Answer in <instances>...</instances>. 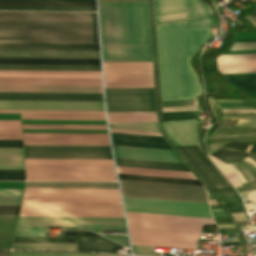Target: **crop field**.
<instances>
[{"label":"crop field","instance_id":"1","mask_svg":"<svg viewBox=\"0 0 256 256\" xmlns=\"http://www.w3.org/2000/svg\"><path fill=\"white\" fill-rule=\"evenodd\" d=\"M211 30L184 31L183 22L156 26L161 101L202 95L190 60L209 39Z\"/></svg>","mask_w":256,"mask_h":256},{"label":"crop field","instance_id":"2","mask_svg":"<svg viewBox=\"0 0 256 256\" xmlns=\"http://www.w3.org/2000/svg\"><path fill=\"white\" fill-rule=\"evenodd\" d=\"M0 42L98 43L96 13L0 12Z\"/></svg>","mask_w":256,"mask_h":256},{"label":"crop field","instance_id":"3","mask_svg":"<svg viewBox=\"0 0 256 256\" xmlns=\"http://www.w3.org/2000/svg\"><path fill=\"white\" fill-rule=\"evenodd\" d=\"M99 9L103 61H152L147 2Z\"/></svg>","mask_w":256,"mask_h":256},{"label":"crop field","instance_id":"4","mask_svg":"<svg viewBox=\"0 0 256 256\" xmlns=\"http://www.w3.org/2000/svg\"><path fill=\"white\" fill-rule=\"evenodd\" d=\"M19 217L124 218L121 204L22 203Z\"/></svg>","mask_w":256,"mask_h":256},{"label":"crop field","instance_id":"5","mask_svg":"<svg viewBox=\"0 0 256 256\" xmlns=\"http://www.w3.org/2000/svg\"><path fill=\"white\" fill-rule=\"evenodd\" d=\"M27 181L116 182L113 166L26 165Z\"/></svg>","mask_w":256,"mask_h":256},{"label":"crop field","instance_id":"6","mask_svg":"<svg viewBox=\"0 0 256 256\" xmlns=\"http://www.w3.org/2000/svg\"><path fill=\"white\" fill-rule=\"evenodd\" d=\"M123 196L208 203L203 187L120 180Z\"/></svg>","mask_w":256,"mask_h":256},{"label":"crop field","instance_id":"7","mask_svg":"<svg viewBox=\"0 0 256 256\" xmlns=\"http://www.w3.org/2000/svg\"><path fill=\"white\" fill-rule=\"evenodd\" d=\"M129 229L200 235L212 220L127 213Z\"/></svg>","mask_w":256,"mask_h":256},{"label":"crop field","instance_id":"8","mask_svg":"<svg viewBox=\"0 0 256 256\" xmlns=\"http://www.w3.org/2000/svg\"><path fill=\"white\" fill-rule=\"evenodd\" d=\"M127 211L212 219L208 204L123 197Z\"/></svg>","mask_w":256,"mask_h":256},{"label":"crop field","instance_id":"9","mask_svg":"<svg viewBox=\"0 0 256 256\" xmlns=\"http://www.w3.org/2000/svg\"><path fill=\"white\" fill-rule=\"evenodd\" d=\"M24 194L119 195L118 190L25 189ZM22 202L121 203L119 196L24 195Z\"/></svg>","mask_w":256,"mask_h":256},{"label":"crop field","instance_id":"10","mask_svg":"<svg viewBox=\"0 0 256 256\" xmlns=\"http://www.w3.org/2000/svg\"><path fill=\"white\" fill-rule=\"evenodd\" d=\"M107 112L156 111L154 89H105Z\"/></svg>","mask_w":256,"mask_h":256},{"label":"crop field","instance_id":"11","mask_svg":"<svg viewBox=\"0 0 256 256\" xmlns=\"http://www.w3.org/2000/svg\"><path fill=\"white\" fill-rule=\"evenodd\" d=\"M25 159H112L109 147L24 146Z\"/></svg>","mask_w":256,"mask_h":256},{"label":"crop field","instance_id":"12","mask_svg":"<svg viewBox=\"0 0 256 256\" xmlns=\"http://www.w3.org/2000/svg\"><path fill=\"white\" fill-rule=\"evenodd\" d=\"M24 145L109 146L107 134H23Z\"/></svg>","mask_w":256,"mask_h":256},{"label":"crop field","instance_id":"13","mask_svg":"<svg viewBox=\"0 0 256 256\" xmlns=\"http://www.w3.org/2000/svg\"><path fill=\"white\" fill-rule=\"evenodd\" d=\"M130 231L132 245L164 247L175 249H193L194 244L200 236L146 232V231Z\"/></svg>","mask_w":256,"mask_h":256},{"label":"crop field","instance_id":"14","mask_svg":"<svg viewBox=\"0 0 256 256\" xmlns=\"http://www.w3.org/2000/svg\"><path fill=\"white\" fill-rule=\"evenodd\" d=\"M200 146L178 148L212 191L233 190L205 157Z\"/></svg>","mask_w":256,"mask_h":256},{"label":"crop field","instance_id":"15","mask_svg":"<svg viewBox=\"0 0 256 256\" xmlns=\"http://www.w3.org/2000/svg\"><path fill=\"white\" fill-rule=\"evenodd\" d=\"M3 110L104 111L103 102L0 101Z\"/></svg>","mask_w":256,"mask_h":256},{"label":"crop field","instance_id":"16","mask_svg":"<svg viewBox=\"0 0 256 256\" xmlns=\"http://www.w3.org/2000/svg\"><path fill=\"white\" fill-rule=\"evenodd\" d=\"M0 3L95 4V1L0 0ZM0 4V10L96 11L95 5Z\"/></svg>","mask_w":256,"mask_h":256},{"label":"crop field","instance_id":"17","mask_svg":"<svg viewBox=\"0 0 256 256\" xmlns=\"http://www.w3.org/2000/svg\"><path fill=\"white\" fill-rule=\"evenodd\" d=\"M155 16L190 12L188 19L210 15L211 8L200 0H154Z\"/></svg>","mask_w":256,"mask_h":256},{"label":"crop field","instance_id":"18","mask_svg":"<svg viewBox=\"0 0 256 256\" xmlns=\"http://www.w3.org/2000/svg\"><path fill=\"white\" fill-rule=\"evenodd\" d=\"M76 241V242H47ZM14 243H78L77 251L115 253L123 247L104 238H15Z\"/></svg>","mask_w":256,"mask_h":256},{"label":"crop field","instance_id":"19","mask_svg":"<svg viewBox=\"0 0 256 256\" xmlns=\"http://www.w3.org/2000/svg\"><path fill=\"white\" fill-rule=\"evenodd\" d=\"M115 158L183 164L174 151L113 146Z\"/></svg>","mask_w":256,"mask_h":256},{"label":"crop field","instance_id":"20","mask_svg":"<svg viewBox=\"0 0 256 256\" xmlns=\"http://www.w3.org/2000/svg\"><path fill=\"white\" fill-rule=\"evenodd\" d=\"M0 100L103 101L102 94L0 93Z\"/></svg>","mask_w":256,"mask_h":256},{"label":"crop field","instance_id":"21","mask_svg":"<svg viewBox=\"0 0 256 256\" xmlns=\"http://www.w3.org/2000/svg\"><path fill=\"white\" fill-rule=\"evenodd\" d=\"M18 225L125 226L124 219L19 218Z\"/></svg>","mask_w":256,"mask_h":256},{"label":"crop field","instance_id":"22","mask_svg":"<svg viewBox=\"0 0 256 256\" xmlns=\"http://www.w3.org/2000/svg\"><path fill=\"white\" fill-rule=\"evenodd\" d=\"M164 130L176 147L199 145L196 140L197 121L163 123Z\"/></svg>","mask_w":256,"mask_h":256},{"label":"crop field","instance_id":"23","mask_svg":"<svg viewBox=\"0 0 256 256\" xmlns=\"http://www.w3.org/2000/svg\"><path fill=\"white\" fill-rule=\"evenodd\" d=\"M0 85L101 86V79L0 78Z\"/></svg>","mask_w":256,"mask_h":256},{"label":"crop field","instance_id":"24","mask_svg":"<svg viewBox=\"0 0 256 256\" xmlns=\"http://www.w3.org/2000/svg\"><path fill=\"white\" fill-rule=\"evenodd\" d=\"M113 145L172 150L163 137L111 133Z\"/></svg>","mask_w":256,"mask_h":256},{"label":"crop field","instance_id":"25","mask_svg":"<svg viewBox=\"0 0 256 256\" xmlns=\"http://www.w3.org/2000/svg\"><path fill=\"white\" fill-rule=\"evenodd\" d=\"M0 49H5V50L99 51L98 44L0 43Z\"/></svg>","mask_w":256,"mask_h":256},{"label":"crop field","instance_id":"26","mask_svg":"<svg viewBox=\"0 0 256 256\" xmlns=\"http://www.w3.org/2000/svg\"><path fill=\"white\" fill-rule=\"evenodd\" d=\"M105 88H153L152 74L104 75Z\"/></svg>","mask_w":256,"mask_h":256},{"label":"crop field","instance_id":"27","mask_svg":"<svg viewBox=\"0 0 256 256\" xmlns=\"http://www.w3.org/2000/svg\"><path fill=\"white\" fill-rule=\"evenodd\" d=\"M0 92L98 93V87L0 86ZM99 93H102L101 87H99Z\"/></svg>","mask_w":256,"mask_h":256},{"label":"crop field","instance_id":"28","mask_svg":"<svg viewBox=\"0 0 256 256\" xmlns=\"http://www.w3.org/2000/svg\"><path fill=\"white\" fill-rule=\"evenodd\" d=\"M0 64H5V65L100 66L99 60H64V59H5V58H0Z\"/></svg>","mask_w":256,"mask_h":256},{"label":"crop field","instance_id":"29","mask_svg":"<svg viewBox=\"0 0 256 256\" xmlns=\"http://www.w3.org/2000/svg\"><path fill=\"white\" fill-rule=\"evenodd\" d=\"M104 74L152 73V63H103Z\"/></svg>","mask_w":256,"mask_h":256},{"label":"crop field","instance_id":"30","mask_svg":"<svg viewBox=\"0 0 256 256\" xmlns=\"http://www.w3.org/2000/svg\"><path fill=\"white\" fill-rule=\"evenodd\" d=\"M25 188L118 189L116 183H27Z\"/></svg>","mask_w":256,"mask_h":256},{"label":"crop field","instance_id":"31","mask_svg":"<svg viewBox=\"0 0 256 256\" xmlns=\"http://www.w3.org/2000/svg\"><path fill=\"white\" fill-rule=\"evenodd\" d=\"M29 58L99 59V52L30 51Z\"/></svg>","mask_w":256,"mask_h":256},{"label":"crop field","instance_id":"32","mask_svg":"<svg viewBox=\"0 0 256 256\" xmlns=\"http://www.w3.org/2000/svg\"><path fill=\"white\" fill-rule=\"evenodd\" d=\"M117 166L190 172L185 165L115 159Z\"/></svg>","mask_w":256,"mask_h":256},{"label":"crop field","instance_id":"33","mask_svg":"<svg viewBox=\"0 0 256 256\" xmlns=\"http://www.w3.org/2000/svg\"><path fill=\"white\" fill-rule=\"evenodd\" d=\"M118 173L196 180L192 173L117 167Z\"/></svg>","mask_w":256,"mask_h":256},{"label":"crop field","instance_id":"34","mask_svg":"<svg viewBox=\"0 0 256 256\" xmlns=\"http://www.w3.org/2000/svg\"><path fill=\"white\" fill-rule=\"evenodd\" d=\"M18 216H0V249H10Z\"/></svg>","mask_w":256,"mask_h":256},{"label":"crop field","instance_id":"35","mask_svg":"<svg viewBox=\"0 0 256 256\" xmlns=\"http://www.w3.org/2000/svg\"><path fill=\"white\" fill-rule=\"evenodd\" d=\"M0 70H36V71H100V67H68V66H4Z\"/></svg>","mask_w":256,"mask_h":256},{"label":"crop field","instance_id":"36","mask_svg":"<svg viewBox=\"0 0 256 256\" xmlns=\"http://www.w3.org/2000/svg\"><path fill=\"white\" fill-rule=\"evenodd\" d=\"M234 86L244 91H256V73L224 75Z\"/></svg>","mask_w":256,"mask_h":256},{"label":"crop field","instance_id":"37","mask_svg":"<svg viewBox=\"0 0 256 256\" xmlns=\"http://www.w3.org/2000/svg\"><path fill=\"white\" fill-rule=\"evenodd\" d=\"M22 120H105L104 115H22Z\"/></svg>","mask_w":256,"mask_h":256},{"label":"crop field","instance_id":"38","mask_svg":"<svg viewBox=\"0 0 256 256\" xmlns=\"http://www.w3.org/2000/svg\"><path fill=\"white\" fill-rule=\"evenodd\" d=\"M26 164L113 165L112 160H25Z\"/></svg>","mask_w":256,"mask_h":256},{"label":"crop field","instance_id":"39","mask_svg":"<svg viewBox=\"0 0 256 256\" xmlns=\"http://www.w3.org/2000/svg\"><path fill=\"white\" fill-rule=\"evenodd\" d=\"M118 175H119L120 179H125V180H137V181H149V182H161V183H173V184L201 186L198 181H192V180H180V179L157 178V177L123 175V174H118Z\"/></svg>","mask_w":256,"mask_h":256},{"label":"crop field","instance_id":"40","mask_svg":"<svg viewBox=\"0 0 256 256\" xmlns=\"http://www.w3.org/2000/svg\"><path fill=\"white\" fill-rule=\"evenodd\" d=\"M77 244H14L12 249L20 250H72Z\"/></svg>","mask_w":256,"mask_h":256},{"label":"crop field","instance_id":"41","mask_svg":"<svg viewBox=\"0 0 256 256\" xmlns=\"http://www.w3.org/2000/svg\"><path fill=\"white\" fill-rule=\"evenodd\" d=\"M0 165H24L22 149H0Z\"/></svg>","mask_w":256,"mask_h":256},{"label":"crop field","instance_id":"42","mask_svg":"<svg viewBox=\"0 0 256 256\" xmlns=\"http://www.w3.org/2000/svg\"><path fill=\"white\" fill-rule=\"evenodd\" d=\"M221 172L230 180L234 187L241 186L240 183H245L238 171L230 165H226L217 159L209 156Z\"/></svg>","mask_w":256,"mask_h":256},{"label":"crop field","instance_id":"43","mask_svg":"<svg viewBox=\"0 0 256 256\" xmlns=\"http://www.w3.org/2000/svg\"><path fill=\"white\" fill-rule=\"evenodd\" d=\"M249 155L250 154L221 147L217 152H215L211 156L219 159L220 161L226 164H231L233 162L241 161Z\"/></svg>","mask_w":256,"mask_h":256},{"label":"crop field","instance_id":"44","mask_svg":"<svg viewBox=\"0 0 256 256\" xmlns=\"http://www.w3.org/2000/svg\"><path fill=\"white\" fill-rule=\"evenodd\" d=\"M0 170H24V166H0ZM0 181H25L24 171H0Z\"/></svg>","mask_w":256,"mask_h":256},{"label":"crop field","instance_id":"45","mask_svg":"<svg viewBox=\"0 0 256 256\" xmlns=\"http://www.w3.org/2000/svg\"><path fill=\"white\" fill-rule=\"evenodd\" d=\"M29 227H72V226H29ZM85 228L91 231L97 232L99 234H101V231H126L125 227H85ZM105 237L119 244L125 245L129 248L127 237H124V236H105Z\"/></svg>","mask_w":256,"mask_h":256},{"label":"crop field","instance_id":"46","mask_svg":"<svg viewBox=\"0 0 256 256\" xmlns=\"http://www.w3.org/2000/svg\"><path fill=\"white\" fill-rule=\"evenodd\" d=\"M109 123L156 121V115H108Z\"/></svg>","mask_w":256,"mask_h":256},{"label":"crop field","instance_id":"47","mask_svg":"<svg viewBox=\"0 0 256 256\" xmlns=\"http://www.w3.org/2000/svg\"><path fill=\"white\" fill-rule=\"evenodd\" d=\"M23 129L107 130L106 126L22 125Z\"/></svg>","mask_w":256,"mask_h":256},{"label":"crop field","instance_id":"48","mask_svg":"<svg viewBox=\"0 0 256 256\" xmlns=\"http://www.w3.org/2000/svg\"><path fill=\"white\" fill-rule=\"evenodd\" d=\"M110 129L159 133L157 123L109 125Z\"/></svg>","mask_w":256,"mask_h":256},{"label":"crop field","instance_id":"49","mask_svg":"<svg viewBox=\"0 0 256 256\" xmlns=\"http://www.w3.org/2000/svg\"><path fill=\"white\" fill-rule=\"evenodd\" d=\"M23 190H0V195H22ZM22 196H0V206H20Z\"/></svg>","mask_w":256,"mask_h":256},{"label":"crop field","instance_id":"50","mask_svg":"<svg viewBox=\"0 0 256 256\" xmlns=\"http://www.w3.org/2000/svg\"><path fill=\"white\" fill-rule=\"evenodd\" d=\"M216 27L214 15L185 22V30Z\"/></svg>","mask_w":256,"mask_h":256},{"label":"crop field","instance_id":"51","mask_svg":"<svg viewBox=\"0 0 256 256\" xmlns=\"http://www.w3.org/2000/svg\"><path fill=\"white\" fill-rule=\"evenodd\" d=\"M230 213L244 212L242 202L238 196L218 197Z\"/></svg>","mask_w":256,"mask_h":256},{"label":"crop field","instance_id":"52","mask_svg":"<svg viewBox=\"0 0 256 256\" xmlns=\"http://www.w3.org/2000/svg\"><path fill=\"white\" fill-rule=\"evenodd\" d=\"M218 70L256 68V61L217 63Z\"/></svg>","mask_w":256,"mask_h":256},{"label":"crop field","instance_id":"53","mask_svg":"<svg viewBox=\"0 0 256 256\" xmlns=\"http://www.w3.org/2000/svg\"><path fill=\"white\" fill-rule=\"evenodd\" d=\"M15 237H46V229L17 227Z\"/></svg>","mask_w":256,"mask_h":256},{"label":"crop field","instance_id":"54","mask_svg":"<svg viewBox=\"0 0 256 256\" xmlns=\"http://www.w3.org/2000/svg\"><path fill=\"white\" fill-rule=\"evenodd\" d=\"M197 111L163 113V121L196 119Z\"/></svg>","mask_w":256,"mask_h":256},{"label":"crop field","instance_id":"55","mask_svg":"<svg viewBox=\"0 0 256 256\" xmlns=\"http://www.w3.org/2000/svg\"><path fill=\"white\" fill-rule=\"evenodd\" d=\"M4 74H68V75H100V72H36V71H0Z\"/></svg>","mask_w":256,"mask_h":256},{"label":"crop field","instance_id":"56","mask_svg":"<svg viewBox=\"0 0 256 256\" xmlns=\"http://www.w3.org/2000/svg\"><path fill=\"white\" fill-rule=\"evenodd\" d=\"M0 77H37V78H101L100 76H68V75H4Z\"/></svg>","mask_w":256,"mask_h":256},{"label":"crop field","instance_id":"57","mask_svg":"<svg viewBox=\"0 0 256 256\" xmlns=\"http://www.w3.org/2000/svg\"><path fill=\"white\" fill-rule=\"evenodd\" d=\"M0 113H63V114H104V112H70V111H2Z\"/></svg>","mask_w":256,"mask_h":256},{"label":"crop field","instance_id":"58","mask_svg":"<svg viewBox=\"0 0 256 256\" xmlns=\"http://www.w3.org/2000/svg\"><path fill=\"white\" fill-rule=\"evenodd\" d=\"M246 60H256V55H233V56H220L217 58V62L246 61Z\"/></svg>","mask_w":256,"mask_h":256},{"label":"crop field","instance_id":"59","mask_svg":"<svg viewBox=\"0 0 256 256\" xmlns=\"http://www.w3.org/2000/svg\"><path fill=\"white\" fill-rule=\"evenodd\" d=\"M224 119H239L236 127H256V118L250 117H223Z\"/></svg>","mask_w":256,"mask_h":256},{"label":"crop field","instance_id":"60","mask_svg":"<svg viewBox=\"0 0 256 256\" xmlns=\"http://www.w3.org/2000/svg\"><path fill=\"white\" fill-rule=\"evenodd\" d=\"M11 256H93V254H41L12 252Z\"/></svg>","mask_w":256,"mask_h":256},{"label":"crop field","instance_id":"61","mask_svg":"<svg viewBox=\"0 0 256 256\" xmlns=\"http://www.w3.org/2000/svg\"><path fill=\"white\" fill-rule=\"evenodd\" d=\"M189 13L155 17L156 23L184 20Z\"/></svg>","mask_w":256,"mask_h":256},{"label":"crop field","instance_id":"62","mask_svg":"<svg viewBox=\"0 0 256 256\" xmlns=\"http://www.w3.org/2000/svg\"><path fill=\"white\" fill-rule=\"evenodd\" d=\"M0 140H22L21 131H0Z\"/></svg>","mask_w":256,"mask_h":256},{"label":"crop field","instance_id":"63","mask_svg":"<svg viewBox=\"0 0 256 256\" xmlns=\"http://www.w3.org/2000/svg\"><path fill=\"white\" fill-rule=\"evenodd\" d=\"M0 130H21L20 121H0Z\"/></svg>","mask_w":256,"mask_h":256},{"label":"crop field","instance_id":"64","mask_svg":"<svg viewBox=\"0 0 256 256\" xmlns=\"http://www.w3.org/2000/svg\"><path fill=\"white\" fill-rule=\"evenodd\" d=\"M132 248H133L134 254L154 255V256H160L161 254V253H152V249H155V248L137 247V246H132Z\"/></svg>","mask_w":256,"mask_h":256},{"label":"crop field","instance_id":"65","mask_svg":"<svg viewBox=\"0 0 256 256\" xmlns=\"http://www.w3.org/2000/svg\"><path fill=\"white\" fill-rule=\"evenodd\" d=\"M254 49H256V43H244V44H235V46H232L230 51L254 50Z\"/></svg>","mask_w":256,"mask_h":256},{"label":"crop field","instance_id":"66","mask_svg":"<svg viewBox=\"0 0 256 256\" xmlns=\"http://www.w3.org/2000/svg\"><path fill=\"white\" fill-rule=\"evenodd\" d=\"M64 237H100L92 232H65Z\"/></svg>","mask_w":256,"mask_h":256},{"label":"crop field","instance_id":"67","mask_svg":"<svg viewBox=\"0 0 256 256\" xmlns=\"http://www.w3.org/2000/svg\"><path fill=\"white\" fill-rule=\"evenodd\" d=\"M0 148H22V141H0Z\"/></svg>","mask_w":256,"mask_h":256},{"label":"crop field","instance_id":"68","mask_svg":"<svg viewBox=\"0 0 256 256\" xmlns=\"http://www.w3.org/2000/svg\"><path fill=\"white\" fill-rule=\"evenodd\" d=\"M20 207H0V215H18Z\"/></svg>","mask_w":256,"mask_h":256},{"label":"crop field","instance_id":"69","mask_svg":"<svg viewBox=\"0 0 256 256\" xmlns=\"http://www.w3.org/2000/svg\"><path fill=\"white\" fill-rule=\"evenodd\" d=\"M211 213L214 218H227L222 209L211 210Z\"/></svg>","mask_w":256,"mask_h":256},{"label":"crop field","instance_id":"70","mask_svg":"<svg viewBox=\"0 0 256 256\" xmlns=\"http://www.w3.org/2000/svg\"><path fill=\"white\" fill-rule=\"evenodd\" d=\"M221 113H256V110H220Z\"/></svg>","mask_w":256,"mask_h":256},{"label":"crop field","instance_id":"71","mask_svg":"<svg viewBox=\"0 0 256 256\" xmlns=\"http://www.w3.org/2000/svg\"><path fill=\"white\" fill-rule=\"evenodd\" d=\"M222 74H232V73H250L256 72L255 70H233V71H220Z\"/></svg>","mask_w":256,"mask_h":256},{"label":"crop field","instance_id":"72","mask_svg":"<svg viewBox=\"0 0 256 256\" xmlns=\"http://www.w3.org/2000/svg\"><path fill=\"white\" fill-rule=\"evenodd\" d=\"M232 216L237 222L247 221V219L245 218V213L232 214Z\"/></svg>","mask_w":256,"mask_h":256},{"label":"crop field","instance_id":"73","mask_svg":"<svg viewBox=\"0 0 256 256\" xmlns=\"http://www.w3.org/2000/svg\"><path fill=\"white\" fill-rule=\"evenodd\" d=\"M135 1H147V0H99V3H111V2H135Z\"/></svg>","mask_w":256,"mask_h":256},{"label":"crop field","instance_id":"74","mask_svg":"<svg viewBox=\"0 0 256 256\" xmlns=\"http://www.w3.org/2000/svg\"><path fill=\"white\" fill-rule=\"evenodd\" d=\"M111 132H117V133H130V134H143V135H156L161 136V134H154V133H141V132H129V131H116V130H110Z\"/></svg>","mask_w":256,"mask_h":256},{"label":"crop field","instance_id":"75","mask_svg":"<svg viewBox=\"0 0 256 256\" xmlns=\"http://www.w3.org/2000/svg\"><path fill=\"white\" fill-rule=\"evenodd\" d=\"M248 21H250L252 23L253 26L256 27V11L254 13H252L251 15H249L247 18Z\"/></svg>","mask_w":256,"mask_h":256},{"label":"crop field","instance_id":"76","mask_svg":"<svg viewBox=\"0 0 256 256\" xmlns=\"http://www.w3.org/2000/svg\"><path fill=\"white\" fill-rule=\"evenodd\" d=\"M107 114H156V112L107 113Z\"/></svg>","mask_w":256,"mask_h":256},{"label":"crop field","instance_id":"77","mask_svg":"<svg viewBox=\"0 0 256 256\" xmlns=\"http://www.w3.org/2000/svg\"><path fill=\"white\" fill-rule=\"evenodd\" d=\"M247 199H249V200H251L252 202L256 203V192L249 193Z\"/></svg>","mask_w":256,"mask_h":256},{"label":"crop field","instance_id":"78","mask_svg":"<svg viewBox=\"0 0 256 256\" xmlns=\"http://www.w3.org/2000/svg\"><path fill=\"white\" fill-rule=\"evenodd\" d=\"M243 42H256V40L234 41V43H243Z\"/></svg>","mask_w":256,"mask_h":256},{"label":"crop field","instance_id":"79","mask_svg":"<svg viewBox=\"0 0 256 256\" xmlns=\"http://www.w3.org/2000/svg\"><path fill=\"white\" fill-rule=\"evenodd\" d=\"M0 256H10V252H0Z\"/></svg>","mask_w":256,"mask_h":256},{"label":"crop field","instance_id":"80","mask_svg":"<svg viewBox=\"0 0 256 256\" xmlns=\"http://www.w3.org/2000/svg\"><path fill=\"white\" fill-rule=\"evenodd\" d=\"M244 161L250 162L252 163L254 166H256V163H254L251 159H249L248 157L246 159H244Z\"/></svg>","mask_w":256,"mask_h":256},{"label":"crop field","instance_id":"81","mask_svg":"<svg viewBox=\"0 0 256 256\" xmlns=\"http://www.w3.org/2000/svg\"><path fill=\"white\" fill-rule=\"evenodd\" d=\"M219 228H233L232 225H224V226H218Z\"/></svg>","mask_w":256,"mask_h":256},{"label":"crop field","instance_id":"82","mask_svg":"<svg viewBox=\"0 0 256 256\" xmlns=\"http://www.w3.org/2000/svg\"><path fill=\"white\" fill-rule=\"evenodd\" d=\"M220 235L237 234L236 232L219 233Z\"/></svg>","mask_w":256,"mask_h":256},{"label":"crop field","instance_id":"83","mask_svg":"<svg viewBox=\"0 0 256 256\" xmlns=\"http://www.w3.org/2000/svg\"><path fill=\"white\" fill-rule=\"evenodd\" d=\"M223 246H227V245H239V243H228V244H222Z\"/></svg>","mask_w":256,"mask_h":256},{"label":"crop field","instance_id":"84","mask_svg":"<svg viewBox=\"0 0 256 256\" xmlns=\"http://www.w3.org/2000/svg\"><path fill=\"white\" fill-rule=\"evenodd\" d=\"M240 195L243 197V199L246 198V192H242V193H240Z\"/></svg>","mask_w":256,"mask_h":256},{"label":"crop field","instance_id":"85","mask_svg":"<svg viewBox=\"0 0 256 256\" xmlns=\"http://www.w3.org/2000/svg\"><path fill=\"white\" fill-rule=\"evenodd\" d=\"M95 256H108V255H97V254H95Z\"/></svg>","mask_w":256,"mask_h":256},{"label":"crop field","instance_id":"86","mask_svg":"<svg viewBox=\"0 0 256 256\" xmlns=\"http://www.w3.org/2000/svg\"><path fill=\"white\" fill-rule=\"evenodd\" d=\"M253 191H256V189H255V190H250V191H248V193H249V192H253Z\"/></svg>","mask_w":256,"mask_h":256},{"label":"crop field","instance_id":"87","mask_svg":"<svg viewBox=\"0 0 256 256\" xmlns=\"http://www.w3.org/2000/svg\"><path fill=\"white\" fill-rule=\"evenodd\" d=\"M209 203H216V202H209Z\"/></svg>","mask_w":256,"mask_h":256},{"label":"crop field","instance_id":"88","mask_svg":"<svg viewBox=\"0 0 256 256\" xmlns=\"http://www.w3.org/2000/svg\"><path fill=\"white\" fill-rule=\"evenodd\" d=\"M211 201H215V200H211Z\"/></svg>","mask_w":256,"mask_h":256}]
</instances>
